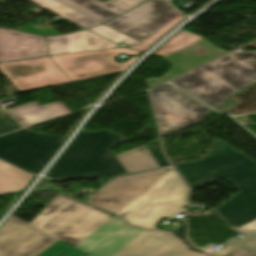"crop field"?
<instances>
[{"mask_svg":"<svg viewBox=\"0 0 256 256\" xmlns=\"http://www.w3.org/2000/svg\"><path fill=\"white\" fill-rule=\"evenodd\" d=\"M174 167L192 191L220 178L240 190L212 210L245 237L234 238L211 254L222 256L239 246L256 253V162L220 140L217 156Z\"/></svg>","mask_w":256,"mask_h":256,"instance_id":"8a807250","label":"crop field"},{"mask_svg":"<svg viewBox=\"0 0 256 256\" xmlns=\"http://www.w3.org/2000/svg\"><path fill=\"white\" fill-rule=\"evenodd\" d=\"M74 247L88 256H205L169 232L132 227L115 216Z\"/></svg>","mask_w":256,"mask_h":256,"instance_id":"ac0d7876","label":"crop field"},{"mask_svg":"<svg viewBox=\"0 0 256 256\" xmlns=\"http://www.w3.org/2000/svg\"><path fill=\"white\" fill-rule=\"evenodd\" d=\"M124 139L112 130L93 133L82 130L46 176L60 182L127 173L111 151Z\"/></svg>","mask_w":256,"mask_h":256,"instance_id":"34b2d1b8","label":"crop field"},{"mask_svg":"<svg viewBox=\"0 0 256 256\" xmlns=\"http://www.w3.org/2000/svg\"><path fill=\"white\" fill-rule=\"evenodd\" d=\"M213 63L172 82L216 109L256 81V53L227 54Z\"/></svg>","mask_w":256,"mask_h":256,"instance_id":"412701ff","label":"crop field"},{"mask_svg":"<svg viewBox=\"0 0 256 256\" xmlns=\"http://www.w3.org/2000/svg\"><path fill=\"white\" fill-rule=\"evenodd\" d=\"M111 217L106 212L58 194L31 225L74 246Z\"/></svg>","mask_w":256,"mask_h":256,"instance_id":"f4fd0767","label":"crop field"},{"mask_svg":"<svg viewBox=\"0 0 256 256\" xmlns=\"http://www.w3.org/2000/svg\"><path fill=\"white\" fill-rule=\"evenodd\" d=\"M162 171L164 174L143 195L117 215L132 224L155 228L162 218H174L185 211L188 189L171 167Z\"/></svg>","mask_w":256,"mask_h":256,"instance_id":"dd49c442","label":"crop field"},{"mask_svg":"<svg viewBox=\"0 0 256 256\" xmlns=\"http://www.w3.org/2000/svg\"><path fill=\"white\" fill-rule=\"evenodd\" d=\"M161 137L201 123L212 111L168 84L150 91Z\"/></svg>","mask_w":256,"mask_h":256,"instance_id":"e52e79f7","label":"crop field"},{"mask_svg":"<svg viewBox=\"0 0 256 256\" xmlns=\"http://www.w3.org/2000/svg\"><path fill=\"white\" fill-rule=\"evenodd\" d=\"M64 140L25 129L0 137V158L36 175Z\"/></svg>","mask_w":256,"mask_h":256,"instance_id":"d8731c3e","label":"crop field"},{"mask_svg":"<svg viewBox=\"0 0 256 256\" xmlns=\"http://www.w3.org/2000/svg\"><path fill=\"white\" fill-rule=\"evenodd\" d=\"M120 54L134 56L139 52L118 48L51 58L72 81H75L123 71L138 58L133 57L127 63L116 64L113 59Z\"/></svg>","mask_w":256,"mask_h":256,"instance_id":"5a996713","label":"crop field"},{"mask_svg":"<svg viewBox=\"0 0 256 256\" xmlns=\"http://www.w3.org/2000/svg\"><path fill=\"white\" fill-rule=\"evenodd\" d=\"M0 70L19 92L71 82L49 57L0 63Z\"/></svg>","mask_w":256,"mask_h":256,"instance_id":"3316defc","label":"crop field"},{"mask_svg":"<svg viewBox=\"0 0 256 256\" xmlns=\"http://www.w3.org/2000/svg\"><path fill=\"white\" fill-rule=\"evenodd\" d=\"M57 240L11 216L0 227V256H37Z\"/></svg>","mask_w":256,"mask_h":256,"instance_id":"28ad6ade","label":"crop field"},{"mask_svg":"<svg viewBox=\"0 0 256 256\" xmlns=\"http://www.w3.org/2000/svg\"><path fill=\"white\" fill-rule=\"evenodd\" d=\"M162 174L158 169L113 179L96 192L98 197L87 203L116 214L143 194Z\"/></svg>","mask_w":256,"mask_h":256,"instance_id":"d1516ede","label":"crop field"},{"mask_svg":"<svg viewBox=\"0 0 256 256\" xmlns=\"http://www.w3.org/2000/svg\"><path fill=\"white\" fill-rule=\"evenodd\" d=\"M170 8L161 0H150L105 24L142 41L166 25L160 18Z\"/></svg>","mask_w":256,"mask_h":256,"instance_id":"22f410ed","label":"crop field"},{"mask_svg":"<svg viewBox=\"0 0 256 256\" xmlns=\"http://www.w3.org/2000/svg\"><path fill=\"white\" fill-rule=\"evenodd\" d=\"M224 53L226 52L217 48L216 46L204 40H200L163 58L173 67L167 75L163 76L162 78L148 79L145 81L148 88H151L157 84L164 83L182 73H185Z\"/></svg>","mask_w":256,"mask_h":256,"instance_id":"cbeb9de0","label":"crop field"},{"mask_svg":"<svg viewBox=\"0 0 256 256\" xmlns=\"http://www.w3.org/2000/svg\"><path fill=\"white\" fill-rule=\"evenodd\" d=\"M47 56L43 37L0 29V61Z\"/></svg>","mask_w":256,"mask_h":256,"instance_id":"5142ce71","label":"crop field"},{"mask_svg":"<svg viewBox=\"0 0 256 256\" xmlns=\"http://www.w3.org/2000/svg\"><path fill=\"white\" fill-rule=\"evenodd\" d=\"M47 43L50 56L119 47L87 30L64 36L47 37Z\"/></svg>","mask_w":256,"mask_h":256,"instance_id":"d9b57169","label":"crop field"},{"mask_svg":"<svg viewBox=\"0 0 256 256\" xmlns=\"http://www.w3.org/2000/svg\"><path fill=\"white\" fill-rule=\"evenodd\" d=\"M58 1L103 23L104 21L144 2L145 0H110L105 3H102L99 0Z\"/></svg>","mask_w":256,"mask_h":256,"instance_id":"733c2abd","label":"crop field"},{"mask_svg":"<svg viewBox=\"0 0 256 256\" xmlns=\"http://www.w3.org/2000/svg\"><path fill=\"white\" fill-rule=\"evenodd\" d=\"M8 111L22 126L32 125L71 113L60 101L44 106L33 101Z\"/></svg>","mask_w":256,"mask_h":256,"instance_id":"4a817a6b","label":"crop field"},{"mask_svg":"<svg viewBox=\"0 0 256 256\" xmlns=\"http://www.w3.org/2000/svg\"><path fill=\"white\" fill-rule=\"evenodd\" d=\"M33 177L0 160V195L24 189Z\"/></svg>","mask_w":256,"mask_h":256,"instance_id":"bc2a9ffb","label":"crop field"},{"mask_svg":"<svg viewBox=\"0 0 256 256\" xmlns=\"http://www.w3.org/2000/svg\"><path fill=\"white\" fill-rule=\"evenodd\" d=\"M116 157L129 174L158 167L145 145L116 154Z\"/></svg>","mask_w":256,"mask_h":256,"instance_id":"214f88e0","label":"crop field"},{"mask_svg":"<svg viewBox=\"0 0 256 256\" xmlns=\"http://www.w3.org/2000/svg\"><path fill=\"white\" fill-rule=\"evenodd\" d=\"M31 1L59 14L60 16L84 28L100 23L56 0H31Z\"/></svg>","mask_w":256,"mask_h":256,"instance_id":"92a150f3","label":"crop field"},{"mask_svg":"<svg viewBox=\"0 0 256 256\" xmlns=\"http://www.w3.org/2000/svg\"><path fill=\"white\" fill-rule=\"evenodd\" d=\"M200 39H204V37L195 35L189 32L181 31L175 37H173L170 41L164 44L158 51H156L154 55L164 57Z\"/></svg>","mask_w":256,"mask_h":256,"instance_id":"dafd665d","label":"crop field"},{"mask_svg":"<svg viewBox=\"0 0 256 256\" xmlns=\"http://www.w3.org/2000/svg\"><path fill=\"white\" fill-rule=\"evenodd\" d=\"M87 254L73 248L72 246L57 241L38 256H86Z\"/></svg>","mask_w":256,"mask_h":256,"instance_id":"00972430","label":"crop field"},{"mask_svg":"<svg viewBox=\"0 0 256 256\" xmlns=\"http://www.w3.org/2000/svg\"><path fill=\"white\" fill-rule=\"evenodd\" d=\"M89 30H91L107 39H110L116 43L123 42V43L129 44L131 46L139 43L138 41L131 39V38L117 32L103 24L100 26L90 28Z\"/></svg>","mask_w":256,"mask_h":256,"instance_id":"a9b5d70f","label":"crop field"},{"mask_svg":"<svg viewBox=\"0 0 256 256\" xmlns=\"http://www.w3.org/2000/svg\"><path fill=\"white\" fill-rule=\"evenodd\" d=\"M184 19L183 15L176 18L174 21L151 35L150 37L146 38L144 41L139 43L136 47H132L130 49H135L139 51H146L154 42H156L159 38H161L165 33H167L171 28H173L176 24Z\"/></svg>","mask_w":256,"mask_h":256,"instance_id":"4177f3b9","label":"crop field"},{"mask_svg":"<svg viewBox=\"0 0 256 256\" xmlns=\"http://www.w3.org/2000/svg\"><path fill=\"white\" fill-rule=\"evenodd\" d=\"M20 129L17 123L4 110L0 111V135Z\"/></svg>","mask_w":256,"mask_h":256,"instance_id":"730fd06b","label":"crop field"},{"mask_svg":"<svg viewBox=\"0 0 256 256\" xmlns=\"http://www.w3.org/2000/svg\"><path fill=\"white\" fill-rule=\"evenodd\" d=\"M146 147L148 148V150L152 154L153 158L155 159V161L157 162L159 167L169 165V163L167 162L166 158L164 157V155H163V153L160 149V145H159L158 140L154 141L152 143L146 144Z\"/></svg>","mask_w":256,"mask_h":256,"instance_id":"eef30255","label":"crop field"},{"mask_svg":"<svg viewBox=\"0 0 256 256\" xmlns=\"http://www.w3.org/2000/svg\"><path fill=\"white\" fill-rule=\"evenodd\" d=\"M17 30H21L27 33H32V34H38V35H60L59 32H57L55 29H50V30H38L33 28V24L30 23L24 27H21Z\"/></svg>","mask_w":256,"mask_h":256,"instance_id":"ae1a2a85","label":"crop field"},{"mask_svg":"<svg viewBox=\"0 0 256 256\" xmlns=\"http://www.w3.org/2000/svg\"><path fill=\"white\" fill-rule=\"evenodd\" d=\"M179 228H180V227H179ZM185 230H186V226H185V224H183V225H181V228H180V229H177V230L174 231V234H175L177 237L183 239V242H185V243L187 244V246H188L191 250L202 252V251L196 249V248L187 240V238H186V236H185ZM203 253H204V252H203Z\"/></svg>","mask_w":256,"mask_h":256,"instance_id":"d3111659","label":"crop field"},{"mask_svg":"<svg viewBox=\"0 0 256 256\" xmlns=\"http://www.w3.org/2000/svg\"><path fill=\"white\" fill-rule=\"evenodd\" d=\"M52 181L44 178V180L41 182V184L38 186V188L35 190L36 191H40L42 189H47V190H51V191H58L61 192L62 190L52 184H50Z\"/></svg>","mask_w":256,"mask_h":256,"instance_id":"750c4746","label":"crop field"},{"mask_svg":"<svg viewBox=\"0 0 256 256\" xmlns=\"http://www.w3.org/2000/svg\"><path fill=\"white\" fill-rule=\"evenodd\" d=\"M256 85V84H255ZM254 85V86H255ZM253 87V86H252ZM251 88V87H250ZM249 89V88H248ZM248 89H246V90H248ZM246 90H244V91H246ZM244 91H242V92H244ZM242 92H240V93H238V94H236L235 96H237V95H239V94H241ZM235 96H233V97H235ZM233 97H231L228 101H227V103L224 105V106H222L220 109H218L219 111H225V112H230L234 107H236L239 103H237L236 101H234L233 99ZM233 98V99H232Z\"/></svg>","mask_w":256,"mask_h":256,"instance_id":"bd1437ed","label":"crop field"},{"mask_svg":"<svg viewBox=\"0 0 256 256\" xmlns=\"http://www.w3.org/2000/svg\"><path fill=\"white\" fill-rule=\"evenodd\" d=\"M224 256H256V254L239 247Z\"/></svg>","mask_w":256,"mask_h":256,"instance_id":"1d83c4d3","label":"crop field"},{"mask_svg":"<svg viewBox=\"0 0 256 256\" xmlns=\"http://www.w3.org/2000/svg\"><path fill=\"white\" fill-rule=\"evenodd\" d=\"M172 9V8H171ZM180 14L171 10L169 12H167L162 18L161 20L166 22V23H169L171 22L172 20H174L176 17H178Z\"/></svg>","mask_w":256,"mask_h":256,"instance_id":"120bbe31","label":"crop field"},{"mask_svg":"<svg viewBox=\"0 0 256 256\" xmlns=\"http://www.w3.org/2000/svg\"><path fill=\"white\" fill-rule=\"evenodd\" d=\"M218 140H219V139H213V142H214L215 145H216V149H215L214 152H212V153L209 154V155H206L205 157H209V156H214V155H216ZM205 157H204V158H205Z\"/></svg>","mask_w":256,"mask_h":256,"instance_id":"d32e631a","label":"crop field"},{"mask_svg":"<svg viewBox=\"0 0 256 256\" xmlns=\"http://www.w3.org/2000/svg\"><path fill=\"white\" fill-rule=\"evenodd\" d=\"M5 213V211L0 209V217Z\"/></svg>","mask_w":256,"mask_h":256,"instance_id":"5866460e","label":"crop field"},{"mask_svg":"<svg viewBox=\"0 0 256 256\" xmlns=\"http://www.w3.org/2000/svg\"><path fill=\"white\" fill-rule=\"evenodd\" d=\"M6 1H8V0H0V3H4V2H6Z\"/></svg>","mask_w":256,"mask_h":256,"instance_id":"028f5c9d","label":"crop field"}]
</instances>
